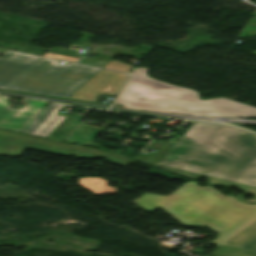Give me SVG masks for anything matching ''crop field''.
<instances>
[{
  "label": "crop field",
  "mask_w": 256,
  "mask_h": 256,
  "mask_svg": "<svg viewBox=\"0 0 256 256\" xmlns=\"http://www.w3.org/2000/svg\"><path fill=\"white\" fill-rule=\"evenodd\" d=\"M155 166L256 187V135L228 125L195 122Z\"/></svg>",
  "instance_id": "crop-field-1"
},
{
  "label": "crop field",
  "mask_w": 256,
  "mask_h": 256,
  "mask_svg": "<svg viewBox=\"0 0 256 256\" xmlns=\"http://www.w3.org/2000/svg\"><path fill=\"white\" fill-rule=\"evenodd\" d=\"M198 185L187 182L167 196L144 193L132 203L149 212L160 207L184 226L218 232L217 238L208 244L233 245L256 252V205L224 196L214 186Z\"/></svg>",
  "instance_id": "crop-field-2"
},
{
  "label": "crop field",
  "mask_w": 256,
  "mask_h": 256,
  "mask_svg": "<svg viewBox=\"0 0 256 256\" xmlns=\"http://www.w3.org/2000/svg\"><path fill=\"white\" fill-rule=\"evenodd\" d=\"M146 68H134L114 103L132 106L256 112V108L224 98L201 101L197 92L148 78Z\"/></svg>",
  "instance_id": "crop-field-3"
},
{
  "label": "crop field",
  "mask_w": 256,
  "mask_h": 256,
  "mask_svg": "<svg viewBox=\"0 0 256 256\" xmlns=\"http://www.w3.org/2000/svg\"><path fill=\"white\" fill-rule=\"evenodd\" d=\"M41 58L6 89L68 98L89 80L99 68Z\"/></svg>",
  "instance_id": "crop-field-4"
},
{
  "label": "crop field",
  "mask_w": 256,
  "mask_h": 256,
  "mask_svg": "<svg viewBox=\"0 0 256 256\" xmlns=\"http://www.w3.org/2000/svg\"><path fill=\"white\" fill-rule=\"evenodd\" d=\"M26 148L56 155H73L77 158L84 159L104 156L112 164L124 166L132 162L130 159L111 152H102L90 148L0 130V155L18 156Z\"/></svg>",
  "instance_id": "crop-field-5"
},
{
  "label": "crop field",
  "mask_w": 256,
  "mask_h": 256,
  "mask_svg": "<svg viewBox=\"0 0 256 256\" xmlns=\"http://www.w3.org/2000/svg\"><path fill=\"white\" fill-rule=\"evenodd\" d=\"M127 75L101 69L69 98L97 102L100 94L115 96Z\"/></svg>",
  "instance_id": "crop-field-6"
},
{
  "label": "crop field",
  "mask_w": 256,
  "mask_h": 256,
  "mask_svg": "<svg viewBox=\"0 0 256 256\" xmlns=\"http://www.w3.org/2000/svg\"><path fill=\"white\" fill-rule=\"evenodd\" d=\"M9 98L8 96L0 95V129L18 133H21L48 104L46 102L25 99V102H29V104L15 110L9 108Z\"/></svg>",
  "instance_id": "crop-field-7"
},
{
  "label": "crop field",
  "mask_w": 256,
  "mask_h": 256,
  "mask_svg": "<svg viewBox=\"0 0 256 256\" xmlns=\"http://www.w3.org/2000/svg\"><path fill=\"white\" fill-rule=\"evenodd\" d=\"M40 57L9 52L0 58V89H5Z\"/></svg>",
  "instance_id": "crop-field-8"
},
{
  "label": "crop field",
  "mask_w": 256,
  "mask_h": 256,
  "mask_svg": "<svg viewBox=\"0 0 256 256\" xmlns=\"http://www.w3.org/2000/svg\"><path fill=\"white\" fill-rule=\"evenodd\" d=\"M103 129L79 123L64 141L87 146Z\"/></svg>",
  "instance_id": "crop-field-9"
},
{
  "label": "crop field",
  "mask_w": 256,
  "mask_h": 256,
  "mask_svg": "<svg viewBox=\"0 0 256 256\" xmlns=\"http://www.w3.org/2000/svg\"><path fill=\"white\" fill-rule=\"evenodd\" d=\"M108 182L99 177H81L78 185L91 191L92 195L117 193V187L107 186Z\"/></svg>",
  "instance_id": "crop-field-10"
},
{
  "label": "crop field",
  "mask_w": 256,
  "mask_h": 256,
  "mask_svg": "<svg viewBox=\"0 0 256 256\" xmlns=\"http://www.w3.org/2000/svg\"><path fill=\"white\" fill-rule=\"evenodd\" d=\"M172 145V143L168 142L152 141L149 147L157 149L158 152L153 153L151 156H139L136 159L142 160L148 164H155Z\"/></svg>",
  "instance_id": "crop-field-11"
},
{
  "label": "crop field",
  "mask_w": 256,
  "mask_h": 256,
  "mask_svg": "<svg viewBox=\"0 0 256 256\" xmlns=\"http://www.w3.org/2000/svg\"><path fill=\"white\" fill-rule=\"evenodd\" d=\"M145 110L166 112V113H179V114H187V115H195V116H208V117H256V114L215 113V112L154 110V109H145Z\"/></svg>",
  "instance_id": "crop-field-12"
},
{
  "label": "crop field",
  "mask_w": 256,
  "mask_h": 256,
  "mask_svg": "<svg viewBox=\"0 0 256 256\" xmlns=\"http://www.w3.org/2000/svg\"><path fill=\"white\" fill-rule=\"evenodd\" d=\"M208 185H226V186H236L244 191H246L247 193L242 195V196H238L237 198L241 199L242 201H244L242 198L247 195L248 193H251L253 195L256 196V188L255 187H250V186H246V185H241V184H237V183H232V182H228V181H223V180H219V179H214V178H210L208 177ZM246 202H255L256 203V198L255 200H249Z\"/></svg>",
  "instance_id": "crop-field-13"
},
{
  "label": "crop field",
  "mask_w": 256,
  "mask_h": 256,
  "mask_svg": "<svg viewBox=\"0 0 256 256\" xmlns=\"http://www.w3.org/2000/svg\"><path fill=\"white\" fill-rule=\"evenodd\" d=\"M132 66L133 65H128V64L120 63V61H117V60H112L111 62H109L105 66V68H109V69H113V70L129 73V71H130Z\"/></svg>",
  "instance_id": "crop-field-14"
},
{
  "label": "crop field",
  "mask_w": 256,
  "mask_h": 256,
  "mask_svg": "<svg viewBox=\"0 0 256 256\" xmlns=\"http://www.w3.org/2000/svg\"><path fill=\"white\" fill-rule=\"evenodd\" d=\"M245 251L244 249L233 247V246H220L215 253L221 256H228L238 252Z\"/></svg>",
  "instance_id": "crop-field-15"
},
{
  "label": "crop field",
  "mask_w": 256,
  "mask_h": 256,
  "mask_svg": "<svg viewBox=\"0 0 256 256\" xmlns=\"http://www.w3.org/2000/svg\"><path fill=\"white\" fill-rule=\"evenodd\" d=\"M44 56L50 57V58H55V59L67 60V61H71V62H75L76 60H78L77 58H71V57L60 56V55L49 54V53H46Z\"/></svg>",
  "instance_id": "crop-field-16"
},
{
  "label": "crop field",
  "mask_w": 256,
  "mask_h": 256,
  "mask_svg": "<svg viewBox=\"0 0 256 256\" xmlns=\"http://www.w3.org/2000/svg\"><path fill=\"white\" fill-rule=\"evenodd\" d=\"M232 256H256V253L245 251V252L238 253V254H235V255H232Z\"/></svg>",
  "instance_id": "crop-field-17"
},
{
  "label": "crop field",
  "mask_w": 256,
  "mask_h": 256,
  "mask_svg": "<svg viewBox=\"0 0 256 256\" xmlns=\"http://www.w3.org/2000/svg\"><path fill=\"white\" fill-rule=\"evenodd\" d=\"M124 107H132V106H124ZM134 108H150V107H134ZM154 109H168V108H154ZM175 110H186V109H175ZM195 111H204V110H195ZM215 112H222V111H215ZM240 113V112H236Z\"/></svg>",
  "instance_id": "crop-field-18"
},
{
  "label": "crop field",
  "mask_w": 256,
  "mask_h": 256,
  "mask_svg": "<svg viewBox=\"0 0 256 256\" xmlns=\"http://www.w3.org/2000/svg\"><path fill=\"white\" fill-rule=\"evenodd\" d=\"M8 50L0 49V53H6Z\"/></svg>",
  "instance_id": "crop-field-19"
},
{
  "label": "crop field",
  "mask_w": 256,
  "mask_h": 256,
  "mask_svg": "<svg viewBox=\"0 0 256 256\" xmlns=\"http://www.w3.org/2000/svg\"><path fill=\"white\" fill-rule=\"evenodd\" d=\"M211 255H212V256H218V255H216V254H214V253H213V254H211Z\"/></svg>",
  "instance_id": "crop-field-20"
}]
</instances>
